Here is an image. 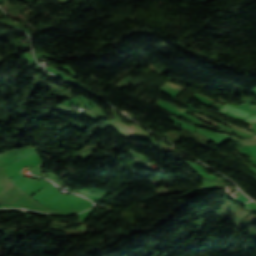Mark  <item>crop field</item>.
<instances>
[{"label": "crop field", "instance_id": "crop-field-1", "mask_svg": "<svg viewBox=\"0 0 256 256\" xmlns=\"http://www.w3.org/2000/svg\"><path fill=\"white\" fill-rule=\"evenodd\" d=\"M222 111H225V112L237 115V116H241V117H244V118L249 114V112H246V111H243L241 109H238V108H235V107H232V106H228V105H225L222 108Z\"/></svg>", "mask_w": 256, "mask_h": 256}, {"label": "crop field", "instance_id": "crop-field-2", "mask_svg": "<svg viewBox=\"0 0 256 256\" xmlns=\"http://www.w3.org/2000/svg\"><path fill=\"white\" fill-rule=\"evenodd\" d=\"M245 121H247V122H256V116L248 117L247 119H245Z\"/></svg>", "mask_w": 256, "mask_h": 256}]
</instances>
